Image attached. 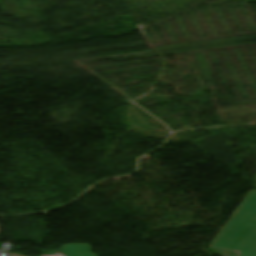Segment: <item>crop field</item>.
Instances as JSON below:
<instances>
[{
    "label": "crop field",
    "instance_id": "8a807250",
    "mask_svg": "<svg viewBox=\"0 0 256 256\" xmlns=\"http://www.w3.org/2000/svg\"><path fill=\"white\" fill-rule=\"evenodd\" d=\"M211 247L256 256V191H250Z\"/></svg>",
    "mask_w": 256,
    "mask_h": 256
},
{
    "label": "crop field",
    "instance_id": "ac0d7876",
    "mask_svg": "<svg viewBox=\"0 0 256 256\" xmlns=\"http://www.w3.org/2000/svg\"><path fill=\"white\" fill-rule=\"evenodd\" d=\"M61 251L66 256H94L89 245H64Z\"/></svg>",
    "mask_w": 256,
    "mask_h": 256
},
{
    "label": "crop field",
    "instance_id": "34b2d1b8",
    "mask_svg": "<svg viewBox=\"0 0 256 256\" xmlns=\"http://www.w3.org/2000/svg\"><path fill=\"white\" fill-rule=\"evenodd\" d=\"M9 256H21V255L10 253Z\"/></svg>",
    "mask_w": 256,
    "mask_h": 256
}]
</instances>
